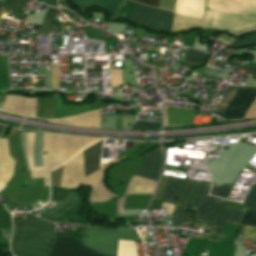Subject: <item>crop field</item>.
<instances>
[{"instance_id":"dd49c442","label":"crop field","mask_w":256,"mask_h":256,"mask_svg":"<svg viewBox=\"0 0 256 256\" xmlns=\"http://www.w3.org/2000/svg\"><path fill=\"white\" fill-rule=\"evenodd\" d=\"M256 96V88H242L226 114V119L242 118ZM223 118V119H224Z\"/></svg>"},{"instance_id":"d9b57169","label":"crop field","mask_w":256,"mask_h":256,"mask_svg":"<svg viewBox=\"0 0 256 256\" xmlns=\"http://www.w3.org/2000/svg\"><path fill=\"white\" fill-rule=\"evenodd\" d=\"M232 186L233 185H213L210 196L227 200Z\"/></svg>"},{"instance_id":"8a807250","label":"crop field","mask_w":256,"mask_h":256,"mask_svg":"<svg viewBox=\"0 0 256 256\" xmlns=\"http://www.w3.org/2000/svg\"><path fill=\"white\" fill-rule=\"evenodd\" d=\"M210 185L170 177L162 201L175 204L170 227H180L188 213L189 205L195 211L194 220L218 226L214 241H218L225 223L236 224L243 209L208 198Z\"/></svg>"},{"instance_id":"5a996713","label":"crop field","mask_w":256,"mask_h":256,"mask_svg":"<svg viewBox=\"0 0 256 256\" xmlns=\"http://www.w3.org/2000/svg\"><path fill=\"white\" fill-rule=\"evenodd\" d=\"M204 12V0H177L175 13L183 16L202 18Z\"/></svg>"},{"instance_id":"4177f3b9","label":"crop field","mask_w":256,"mask_h":256,"mask_svg":"<svg viewBox=\"0 0 256 256\" xmlns=\"http://www.w3.org/2000/svg\"><path fill=\"white\" fill-rule=\"evenodd\" d=\"M256 117V98L253 101L251 107L249 108L248 112L244 116V118H253Z\"/></svg>"},{"instance_id":"00972430","label":"crop field","mask_w":256,"mask_h":256,"mask_svg":"<svg viewBox=\"0 0 256 256\" xmlns=\"http://www.w3.org/2000/svg\"><path fill=\"white\" fill-rule=\"evenodd\" d=\"M242 225H255L256 226V213L248 211L245 218L241 222Z\"/></svg>"},{"instance_id":"bc2a9ffb","label":"crop field","mask_w":256,"mask_h":256,"mask_svg":"<svg viewBox=\"0 0 256 256\" xmlns=\"http://www.w3.org/2000/svg\"><path fill=\"white\" fill-rule=\"evenodd\" d=\"M122 4H123V2H122ZM122 4H121V6H122ZM133 5H134V2H131L129 0H125L124 4L122 6L121 12H120V14H119L117 19L128 20L130 14H131ZM121 6H120V8H121ZM120 8H119V10H120ZM119 10H118V12H119Z\"/></svg>"},{"instance_id":"214f88e0","label":"crop field","mask_w":256,"mask_h":256,"mask_svg":"<svg viewBox=\"0 0 256 256\" xmlns=\"http://www.w3.org/2000/svg\"><path fill=\"white\" fill-rule=\"evenodd\" d=\"M256 44V36H249L242 40H234L230 43L229 47H242V46H250Z\"/></svg>"},{"instance_id":"34b2d1b8","label":"crop field","mask_w":256,"mask_h":256,"mask_svg":"<svg viewBox=\"0 0 256 256\" xmlns=\"http://www.w3.org/2000/svg\"><path fill=\"white\" fill-rule=\"evenodd\" d=\"M206 13L205 11L204 19ZM205 23L210 27L224 28L239 34L245 30L256 28V17L208 12Z\"/></svg>"},{"instance_id":"28ad6ade","label":"crop field","mask_w":256,"mask_h":256,"mask_svg":"<svg viewBox=\"0 0 256 256\" xmlns=\"http://www.w3.org/2000/svg\"><path fill=\"white\" fill-rule=\"evenodd\" d=\"M155 186V182L139 177H133L125 192V195L129 193H153Z\"/></svg>"},{"instance_id":"730fd06b","label":"crop field","mask_w":256,"mask_h":256,"mask_svg":"<svg viewBox=\"0 0 256 256\" xmlns=\"http://www.w3.org/2000/svg\"><path fill=\"white\" fill-rule=\"evenodd\" d=\"M246 71L252 73L253 75L251 76V78L256 80V64H247Z\"/></svg>"},{"instance_id":"4a817a6b","label":"crop field","mask_w":256,"mask_h":256,"mask_svg":"<svg viewBox=\"0 0 256 256\" xmlns=\"http://www.w3.org/2000/svg\"><path fill=\"white\" fill-rule=\"evenodd\" d=\"M244 205H247L246 210H251L256 212V186L252 185L248 195L246 196Z\"/></svg>"},{"instance_id":"d1516ede","label":"crop field","mask_w":256,"mask_h":256,"mask_svg":"<svg viewBox=\"0 0 256 256\" xmlns=\"http://www.w3.org/2000/svg\"><path fill=\"white\" fill-rule=\"evenodd\" d=\"M193 27H202L204 29L207 28L206 25L198 19L179 17L174 14L172 32L185 30Z\"/></svg>"},{"instance_id":"750c4746","label":"crop field","mask_w":256,"mask_h":256,"mask_svg":"<svg viewBox=\"0 0 256 256\" xmlns=\"http://www.w3.org/2000/svg\"><path fill=\"white\" fill-rule=\"evenodd\" d=\"M53 1H55V2H56V0H53Z\"/></svg>"},{"instance_id":"ae1a2a85","label":"crop field","mask_w":256,"mask_h":256,"mask_svg":"<svg viewBox=\"0 0 256 256\" xmlns=\"http://www.w3.org/2000/svg\"><path fill=\"white\" fill-rule=\"evenodd\" d=\"M164 204L168 205L165 218L171 220L174 206L171 204H167V203H164Z\"/></svg>"},{"instance_id":"cbeb9de0","label":"crop field","mask_w":256,"mask_h":256,"mask_svg":"<svg viewBox=\"0 0 256 256\" xmlns=\"http://www.w3.org/2000/svg\"><path fill=\"white\" fill-rule=\"evenodd\" d=\"M56 11H57V9H53L50 7L48 8V10L44 16L43 22L41 24V28H40L38 37L49 38L52 21H53Z\"/></svg>"},{"instance_id":"d3111659","label":"crop field","mask_w":256,"mask_h":256,"mask_svg":"<svg viewBox=\"0 0 256 256\" xmlns=\"http://www.w3.org/2000/svg\"><path fill=\"white\" fill-rule=\"evenodd\" d=\"M7 129V126L0 125V138H2L5 135Z\"/></svg>"},{"instance_id":"eef30255","label":"crop field","mask_w":256,"mask_h":256,"mask_svg":"<svg viewBox=\"0 0 256 256\" xmlns=\"http://www.w3.org/2000/svg\"><path fill=\"white\" fill-rule=\"evenodd\" d=\"M135 1L141 2L149 6H154V7H157L159 2V0H135Z\"/></svg>"},{"instance_id":"3316defc","label":"crop field","mask_w":256,"mask_h":256,"mask_svg":"<svg viewBox=\"0 0 256 256\" xmlns=\"http://www.w3.org/2000/svg\"><path fill=\"white\" fill-rule=\"evenodd\" d=\"M101 143L102 141L92 146L88 150L84 151V163H85L86 176L98 170Z\"/></svg>"},{"instance_id":"bd1437ed","label":"crop field","mask_w":256,"mask_h":256,"mask_svg":"<svg viewBox=\"0 0 256 256\" xmlns=\"http://www.w3.org/2000/svg\"><path fill=\"white\" fill-rule=\"evenodd\" d=\"M0 8H1V6H0Z\"/></svg>"},{"instance_id":"f4fd0767","label":"crop field","mask_w":256,"mask_h":256,"mask_svg":"<svg viewBox=\"0 0 256 256\" xmlns=\"http://www.w3.org/2000/svg\"><path fill=\"white\" fill-rule=\"evenodd\" d=\"M48 256H101L90 252L79 245L74 239L56 237L55 244Z\"/></svg>"},{"instance_id":"22f410ed","label":"crop field","mask_w":256,"mask_h":256,"mask_svg":"<svg viewBox=\"0 0 256 256\" xmlns=\"http://www.w3.org/2000/svg\"><path fill=\"white\" fill-rule=\"evenodd\" d=\"M240 90L241 88L230 86L229 89L224 94L222 100L214 110V113L223 117V115L225 114V112L227 111V109L229 108V106L231 105V103L233 102V100L235 99Z\"/></svg>"},{"instance_id":"ac0d7876","label":"crop field","mask_w":256,"mask_h":256,"mask_svg":"<svg viewBox=\"0 0 256 256\" xmlns=\"http://www.w3.org/2000/svg\"><path fill=\"white\" fill-rule=\"evenodd\" d=\"M173 13L163 9H157L142 5L135 4L130 20L146 25L154 30L171 31Z\"/></svg>"},{"instance_id":"dafd665d","label":"crop field","mask_w":256,"mask_h":256,"mask_svg":"<svg viewBox=\"0 0 256 256\" xmlns=\"http://www.w3.org/2000/svg\"><path fill=\"white\" fill-rule=\"evenodd\" d=\"M243 239H254L256 240V227L245 226L243 233Z\"/></svg>"},{"instance_id":"5142ce71","label":"crop field","mask_w":256,"mask_h":256,"mask_svg":"<svg viewBox=\"0 0 256 256\" xmlns=\"http://www.w3.org/2000/svg\"><path fill=\"white\" fill-rule=\"evenodd\" d=\"M10 89L7 55H0V90Z\"/></svg>"},{"instance_id":"e52e79f7","label":"crop field","mask_w":256,"mask_h":256,"mask_svg":"<svg viewBox=\"0 0 256 256\" xmlns=\"http://www.w3.org/2000/svg\"><path fill=\"white\" fill-rule=\"evenodd\" d=\"M161 167L162 155L161 149L158 148L151 153L145 154V162L135 176H141L143 178L157 181Z\"/></svg>"},{"instance_id":"d8731c3e","label":"crop field","mask_w":256,"mask_h":256,"mask_svg":"<svg viewBox=\"0 0 256 256\" xmlns=\"http://www.w3.org/2000/svg\"><path fill=\"white\" fill-rule=\"evenodd\" d=\"M72 1L81 10L82 13H86L90 8L99 7L104 10L111 11L112 17L114 18L122 0H72Z\"/></svg>"},{"instance_id":"a9b5d70f","label":"crop field","mask_w":256,"mask_h":256,"mask_svg":"<svg viewBox=\"0 0 256 256\" xmlns=\"http://www.w3.org/2000/svg\"><path fill=\"white\" fill-rule=\"evenodd\" d=\"M52 89L59 90V86H58V65H52Z\"/></svg>"},{"instance_id":"733c2abd","label":"crop field","mask_w":256,"mask_h":256,"mask_svg":"<svg viewBox=\"0 0 256 256\" xmlns=\"http://www.w3.org/2000/svg\"><path fill=\"white\" fill-rule=\"evenodd\" d=\"M207 56L208 55L206 53H202L197 50L188 48L185 61L193 63H204Z\"/></svg>"},{"instance_id":"412701ff","label":"crop field","mask_w":256,"mask_h":256,"mask_svg":"<svg viewBox=\"0 0 256 256\" xmlns=\"http://www.w3.org/2000/svg\"><path fill=\"white\" fill-rule=\"evenodd\" d=\"M205 10L256 15V0H206Z\"/></svg>"},{"instance_id":"92a150f3","label":"crop field","mask_w":256,"mask_h":256,"mask_svg":"<svg viewBox=\"0 0 256 256\" xmlns=\"http://www.w3.org/2000/svg\"><path fill=\"white\" fill-rule=\"evenodd\" d=\"M161 123L151 121H137L131 129H151L160 128Z\"/></svg>"}]
</instances>
